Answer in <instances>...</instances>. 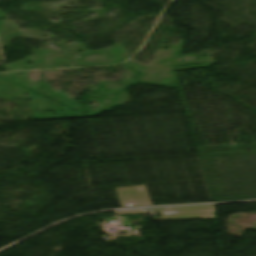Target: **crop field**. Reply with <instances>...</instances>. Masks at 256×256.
Here are the masks:
<instances>
[{"label": "crop field", "mask_w": 256, "mask_h": 256, "mask_svg": "<svg viewBox=\"0 0 256 256\" xmlns=\"http://www.w3.org/2000/svg\"><path fill=\"white\" fill-rule=\"evenodd\" d=\"M115 189L122 207L153 205L145 185Z\"/></svg>", "instance_id": "ac0d7876"}, {"label": "crop field", "mask_w": 256, "mask_h": 256, "mask_svg": "<svg viewBox=\"0 0 256 256\" xmlns=\"http://www.w3.org/2000/svg\"><path fill=\"white\" fill-rule=\"evenodd\" d=\"M119 214H130V213H142L141 209L129 210V211H118Z\"/></svg>", "instance_id": "34b2d1b8"}, {"label": "crop field", "mask_w": 256, "mask_h": 256, "mask_svg": "<svg viewBox=\"0 0 256 256\" xmlns=\"http://www.w3.org/2000/svg\"><path fill=\"white\" fill-rule=\"evenodd\" d=\"M152 212L162 213V218H154V220L166 219H188V218H214L213 205L205 206H187V207H169V208H156Z\"/></svg>", "instance_id": "8a807250"}]
</instances>
